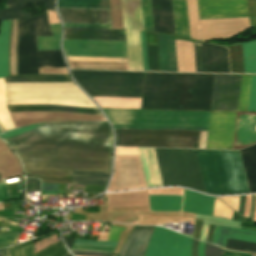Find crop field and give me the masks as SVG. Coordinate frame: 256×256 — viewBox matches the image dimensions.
Wrapping results in <instances>:
<instances>
[{
    "label": "crop field",
    "mask_w": 256,
    "mask_h": 256,
    "mask_svg": "<svg viewBox=\"0 0 256 256\" xmlns=\"http://www.w3.org/2000/svg\"><path fill=\"white\" fill-rule=\"evenodd\" d=\"M194 44H200L194 41ZM196 72L229 73L227 49L201 42L194 45Z\"/></svg>",
    "instance_id": "15"
},
{
    "label": "crop field",
    "mask_w": 256,
    "mask_h": 256,
    "mask_svg": "<svg viewBox=\"0 0 256 256\" xmlns=\"http://www.w3.org/2000/svg\"><path fill=\"white\" fill-rule=\"evenodd\" d=\"M251 76L242 75L238 111H247Z\"/></svg>",
    "instance_id": "44"
},
{
    "label": "crop field",
    "mask_w": 256,
    "mask_h": 256,
    "mask_svg": "<svg viewBox=\"0 0 256 256\" xmlns=\"http://www.w3.org/2000/svg\"><path fill=\"white\" fill-rule=\"evenodd\" d=\"M254 205H255V195H252V205H251V210H250V215H249L250 219H252V217H253Z\"/></svg>",
    "instance_id": "75"
},
{
    "label": "crop field",
    "mask_w": 256,
    "mask_h": 256,
    "mask_svg": "<svg viewBox=\"0 0 256 256\" xmlns=\"http://www.w3.org/2000/svg\"><path fill=\"white\" fill-rule=\"evenodd\" d=\"M236 112L211 111L206 148L232 149Z\"/></svg>",
    "instance_id": "13"
},
{
    "label": "crop field",
    "mask_w": 256,
    "mask_h": 256,
    "mask_svg": "<svg viewBox=\"0 0 256 256\" xmlns=\"http://www.w3.org/2000/svg\"><path fill=\"white\" fill-rule=\"evenodd\" d=\"M27 192L40 191V181L33 178H26Z\"/></svg>",
    "instance_id": "58"
},
{
    "label": "crop field",
    "mask_w": 256,
    "mask_h": 256,
    "mask_svg": "<svg viewBox=\"0 0 256 256\" xmlns=\"http://www.w3.org/2000/svg\"><path fill=\"white\" fill-rule=\"evenodd\" d=\"M71 249H73V250H87V251H105V252H114L116 248H110V247H97V246H81V245H72Z\"/></svg>",
    "instance_id": "54"
},
{
    "label": "crop field",
    "mask_w": 256,
    "mask_h": 256,
    "mask_svg": "<svg viewBox=\"0 0 256 256\" xmlns=\"http://www.w3.org/2000/svg\"><path fill=\"white\" fill-rule=\"evenodd\" d=\"M7 200V184H0V201Z\"/></svg>",
    "instance_id": "66"
},
{
    "label": "crop field",
    "mask_w": 256,
    "mask_h": 256,
    "mask_svg": "<svg viewBox=\"0 0 256 256\" xmlns=\"http://www.w3.org/2000/svg\"><path fill=\"white\" fill-rule=\"evenodd\" d=\"M200 16L247 14L246 0H198Z\"/></svg>",
    "instance_id": "19"
},
{
    "label": "crop field",
    "mask_w": 256,
    "mask_h": 256,
    "mask_svg": "<svg viewBox=\"0 0 256 256\" xmlns=\"http://www.w3.org/2000/svg\"><path fill=\"white\" fill-rule=\"evenodd\" d=\"M236 17H248L247 15H236V16H212V17H200V19H212V18H236Z\"/></svg>",
    "instance_id": "69"
},
{
    "label": "crop field",
    "mask_w": 256,
    "mask_h": 256,
    "mask_svg": "<svg viewBox=\"0 0 256 256\" xmlns=\"http://www.w3.org/2000/svg\"><path fill=\"white\" fill-rule=\"evenodd\" d=\"M144 30L154 32L150 0H140Z\"/></svg>",
    "instance_id": "45"
},
{
    "label": "crop field",
    "mask_w": 256,
    "mask_h": 256,
    "mask_svg": "<svg viewBox=\"0 0 256 256\" xmlns=\"http://www.w3.org/2000/svg\"><path fill=\"white\" fill-rule=\"evenodd\" d=\"M191 38L199 39L197 0H187Z\"/></svg>",
    "instance_id": "43"
},
{
    "label": "crop field",
    "mask_w": 256,
    "mask_h": 256,
    "mask_svg": "<svg viewBox=\"0 0 256 256\" xmlns=\"http://www.w3.org/2000/svg\"><path fill=\"white\" fill-rule=\"evenodd\" d=\"M147 187L162 186L153 148H138Z\"/></svg>",
    "instance_id": "25"
},
{
    "label": "crop field",
    "mask_w": 256,
    "mask_h": 256,
    "mask_svg": "<svg viewBox=\"0 0 256 256\" xmlns=\"http://www.w3.org/2000/svg\"><path fill=\"white\" fill-rule=\"evenodd\" d=\"M252 223H254V222H252Z\"/></svg>",
    "instance_id": "79"
},
{
    "label": "crop field",
    "mask_w": 256,
    "mask_h": 256,
    "mask_svg": "<svg viewBox=\"0 0 256 256\" xmlns=\"http://www.w3.org/2000/svg\"><path fill=\"white\" fill-rule=\"evenodd\" d=\"M197 240L192 241V256H197Z\"/></svg>",
    "instance_id": "72"
},
{
    "label": "crop field",
    "mask_w": 256,
    "mask_h": 256,
    "mask_svg": "<svg viewBox=\"0 0 256 256\" xmlns=\"http://www.w3.org/2000/svg\"><path fill=\"white\" fill-rule=\"evenodd\" d=\"M227 249L236 250V251H245V252H254L256 253V244L238 240L228 239L226 243Z\"/></svg>",
    "instance_id": "46"
},
{
    "label": "crop field",
    "mask_w": 256,
    "mask_h": 256,
    "mask_svg": "<svg viewBox=\"0 0 256 256\" xmlns=\"http://www.w3.org/2000/svg\"><path fill=\"white\" fill-rule=\"evenodd\" d=\"M24 256H34L32 243L23 246ZM12 256H23L22 244L11 248ZM68 253L62 242L36 254L35 256H64Z\"/></svg>",
    "instance_id": "34"
},
{
    "label": "crop field",
    "mask_w": 256,
    "mask_h": 256,
    "mask_svg": "<svg viewBox=\"0 0 256 256\" xmlns=\"http://www.w3.org/2000/svg\"><path fill=\"white\" fill-rule=\"evenodd\" d=\"M150 211H180L182 196H149Z\"/></svg>",
    "instance_id": "36"
},
{
    "label": "crop field",
    "mask_w": 256,
    "mask_h": 256,
    "mask_svg": "<svg viewBox=\"0 0 256 256\" xmlns=\"http://www.w3.org/2000/svg\"><path fill=\"white\" fill-rule=\"evenodd\" d=\"M67 60L127 62V58L66 57Z\"/></svg>",
    "instance_id": "52"
},
{
    "label": "crop field",
    "mask_w": 256,
    "mask_h": 256,
    "mask_svg": "<svg viewBox=\"0 0 256 256\" xmlns=\"http://www.w3.org/2000/svg\"><path fill=\"white\" fill-rule=\"evenodd\" d=\"M114 128L201 130L198 148H205L210 112L103 109Z\"/></svg>",
    "instance_id": "3"
},
{
    "label": "crop field",
    "mask_w": 256,
    "mask_h": 256,
    "mask_svg": "<svg viewBox=\"0 0 256 256\" xmlns=\"http://www.w3.org/2000/svg\"><path fill=\"white\" fill-rule=\"evenodd\" d=\"M227 238L256 242V232L231 227L215 226L212 243L224 248Z\"/></svg>",
    "instance_id": "28"
},
{
    "label": "crop field",
    "mask_w": 256,
    "mask_h": 256,
    "mask_svg": "<svg viewBox=\"0 0 256 256\" xmlns=\"http://www.w3.org/2000/svg\"><path fill=\"white\" fill-rule=\"evenodd\" d=\"M172 4L176 35L190 38L186 0H172Z\"/></svg>",
    "instance_id": "32"
},
{
    "label": "crop field",
    "mask_w": 256,
    "mask_h": 256,
    "mask_svg": "<svg viewBox=\"0 0 256 256\" xmlns=\"http://www.w3.org/2000/svg\"><path fill=\"white\" fill-rule=\"evenodd\" d=\"M6 141L21 158L26 175L42 182L72 183L68 170L111 169L112 130L107 122L42 123Z\"/></svg>",
    "instance_id": "1"
},
{
    "label": "crop field",
    "mask_w": 256,
    "mask_h": 256,
    "mask_svg": "<svg viewBox=\"0 0 256 256\" xmlns=\"http://www.w3.org/2000/svg\"><path fill=\"white\" fill-rule=\"evenodd\" d=\"M57 242H58V240H57L56 234H52V235L34 243L35 253L55 244Z\"/></svg>",
    "instance_id": "49"
},
{
    "label": "crop field",
    "mask_w": 256,
    "mask_h": 256,
    "mask_svg": "<svg viewBox=\"0 0 256 256\" xmlns=\"http://www.w3.org/2000/svg\"><path fill=\"white\" fill-rule=\"evenodd\" d=\"M256 143V113L237 112L233 149Z\"/></svg>",
    "instance_id": "18"
},
{
    "label": "crop field",
    "mask_w": 256,
    "mask_h": 256,
    "mask_svg": "<svg viewBox=\"0 0 256 256\" xmlns=\"http://www.w3.org/2000/svg\"><path fill=\"white\" fill-rule=\"evenodd\" d=\"M58 9L64 23L111 24L109 9Z\"/></svg>",
    "instance_id": "17"
},
{
    "label": "crop field",
    "mask_w": 256,
    "mask_h": 256,
    "mask_svg": "<svg viewBox=\"0 0 256 256\" xmlns=\"http://www.w3.org/2000/svg\"><path fill=\"white\" fill-rule=\"evenodd\" d=\"M66 56L127 57L125 42L64 40Z\"/></svg>",
    "instance_id": "12"
},
{
    "label": "crop field",
    "mask_w": 256,
    "mask_h": 256,
    "mask_svg": "<svg viewBox=\"0 0 256 256\" xmlns=\"http://www.w3.org/2000/svg\"><path fill=\"white\" fill-rule=\"evenodd\" d=\"M232 213H233V210L228 208L226 205H224L222 202H220L216 198L213 216L225 217V218L231 219Z\"/></svg>",
    "instance_id": "48"
},
{
    "label": "crop field",
    "mask_w": 256,
    "mask_h": 256,
    "mask_svg": "<svg viewBox=\"0 0 256 256\" xmlns=\"http://www.w3.org/2000/svg\"><path fill=\"white\" fill-rule=\"evenodd\" d=\"M101 108L140 109L141 98L92 97Z\"/></svg>",
    "instance_id": "33"
},
{
    "label": "crop field",
    "mask_w": 256,
    "mask_h": 256,
    "mask_svg": "<svg viewBox=\"0 0 256 256\" xmlns=\"http://www.w3.org/2000/svg\"><path fill=\"white\" fill-rule=\"evenodd\" d=\"M118 242L86 241L76 239L74 244L116 247Z\"/></svg>",
    "instance_id": "55"
},
{
    "label": "crop field",
    "mask_w": 256,
    "mask_h": 256,
    "mask_svg": "<svg viewBox=\"0 0 256 256\" xmlns=\"http://www.w3.org/2000/svg\"><path fill=\"white\" fill-rule=\"evenodd\" d=\"M154 150L163 186L180 185L205 192L195 150Z\"/></svg>",
    "instance_id": "8"
},
{
    "label": "crop field",
    "mask_w": 256,
    "mask_h": 256,
    "mask_svg": "<svg viewBox=\"0 0 256 256\" xmlns=\"http://www.w3.org/2000/svg\"><path fill=\"white\" fill-rule=\"evenodd\" d=\"M71 72L90 96L141 97L144 72Z\"/></svg>",
    "instance_id": "7"
},
{
    "label": "crop field",
    "mask_w": 256,
    "mask_h": 256,
    "mask_svg": "<svg viewBox=\"0 0 256 256\" xmlns=\"http://www.w3.org/2000/svg\"><path fill=\"white\" fill-rule=\"evenodd\" d=\"M110 172L69 171L73 184L106 185Z\"/></svg>",
    "instance_id": "35"
},
{
    "label": "crop field",
    "mask_w": 256,
    "mask_h": 256,
    "mask_svg": "<svg viewBox=\"0 0 256 256\" xmlns=\"http://www.w3.org/2000/svg\"><path fill=\"white\" fill-rule=\"evenodd\" d=\"M215 197L184 190L182 210L212 216Z\"/></svg>",
    "instance_id": "23"
},
{
    "label": "crop field",
    "mask_w": 256,
    "mask_h": 256,
    "mask_svg": "<svg viewBox=\"0 0 256 256\" xmlns=\"http://www.w3.org/2000/svg\"><path fill=\"white\" fill-rule=\"evenodd\" d=\"M65 27L111 28V25L64 24Z\"/></svg>",
    "instance_id": "63"
},
{
    "label": "crop field",
    "mask_w": 256,
    "mask_h": 256,
    "mask_svg": "<svg viewBox=\"0 0 256 256\" xmlns=\"http://www.w3.org/2000/svg\"><path fill=\"white\" fill-rule=\"evenodd\" d=\"M249 13H256V1H248Z\"/></svg>",
    "instance_id": "70"
},
{
    "label": "crop field",
    "mask_w": 256,
    "mask_h": 256,
    "mask_svg": "<svg viewBox=\"0 0 256 256\" xmlns=\"http://www.w3.org/2000/svg\"><path fill=\"white\" fill-rule=\"evenodd\" d=\"M116 146L197 148L200 131L115 129Z\"/></svg>",
    "instance_id": "9"
},
{
    "label": "crop field",
    "mask_w": 256,
    "mask_h": 256,
    "mask_svg": "<svg viewBox=\"0 0 256 256\" xmlns=\"http://www.w3.org/2000/svg\"><path fill=\"white\" fill-rule=\"evenodd\" d=\"M58 7L109 8L108 0H58Z\"/></svg>",
    "instance_id": "41"
},
{
    "label": "crop field",
    "mask_w": 256,
    "mask_h": 256,
    "mask_svg": "<svg viewBox=\"0 0 256 256\" xmlns=\"http://www.w3.org/2000/svg\"><path fill=\"white\" fill-rule=\"evenodd\" d=\"M214 75L162 73L158 109L210 111Z\"/></svg>",
    "instance_id": "4"
},
{
    "label": "crop field",
    "mask_w": 256,
    "mask_h": 256,
    "mask_svg": "<svg viewBox=\"0 0 256 256\" xmlns=\"http://www.w3.org/2000/svg\"><path fill=\"white\" fill-rule=\"evenodd\" d=\"M40 124L41 123L31 125V126H27V127H23V128L14 129V130H11V131H8V132H4V133L0 134V137L3 138L4 140H6V139L11 138L13 136H16V135H19L21 133H24V132L30 131L32 129H35Z\"/></svg>",
    "instance_id": "50"
},
{
    "label": "crop field",
    "mask_w": 256,
    "mask_h": 256,
    "mask_svg": "<svg viewBox=\"0 0 256 256\" xmlns=\"http://www.w3.org/2000/svg\"><path fill=\"white\" fill-rule=\"evenodd\" d=\"M10 20L2 21L0 31V77L8 76V38Z\"/></svg>",
    "instance_id": "37"
},
{
    "label": "crop field",
    "mask_w": 256,
    "mask_h": 256,
    "mask_svg": "<svg viewBox=\"0 0 256 256\" xmlns=\"http://www.w3.org/2000/svg\"><path fill=\"white\" fill-rule=\"evenodd\" d=\"M245 196H240L239 213L243 214Z\"/></svg>",
    "instance_id": "74"
},
{
    "label": "crop field",
    "mask_w": 256,
    "mask_h": 256,
    "mask_svg": "<svg viewBox=\"0 0 256 256\" xmlns=\"http://www.w3.org/2000/svg\"><path fill=\"white\" fill-rule=\"evenodd\" d=\"M52 35L47 15L19 19L18 75L39 74L38 68L65 67L60 50L37 51L36 36Z\"/></svg>",
    "instance_id": "6"
},
{
    "label": "crop field",
    "mask_w": 256,
    "mask_h": 256,
    "mask_svg": "<svg viewBox=\"0 0 256 256\" xmlns=\"http://www.w3.org/2000/svg\"><path fill=\"white\" fill-rule=\"evenodd\" d=\"M140 36H141L143 66H144V70H148L144 32H140Z\"/></svg>",
    "instance_id": "60"
},
{
    "label": "crop field",
    "mask_w": 256,
    "mask_h": 256,
    "mask_svg": "<svg viewBox=\"0 0 256 256\" xmlns=\"http://www.w3.org/2000/svg\"><path fill=\"white\" fill-rule=\"evenodd\" d=\"M221 253H224L223 249L206 243L205 256H221Z\"/></svg>",
    "instance_id": "56"
},
{
    "label": "crop field",
    "mask_w": 256,
    "mask_h": 256,
    "mask_svg": "<svg viewBox=\"0 0 256 256\" xmlns=\"http://www.w3.org/2000/svg\"><path fill=\"white\" fill-rule=\"evenodd\" d=\"M213 232H214V226L213 225H210L209 227V231H208V235H207V242H210L212 241V236H213Z\"/></svg>",
    "instance_id": "71"
},
{
    "label": "crop field",
    "mask_w": 256,
    "mask_h": 256,
    "mask_svg": "<svg viewBox=\"0 0 256 256\" xmlns=\"http://www.w3.org/2000/svg\"><path fill=\"white\" fill-rule=\"evenodd\" d=\"M48 21H49V24L60 23L55 11L48 12Z\"/></svg>",
    "instance_id": "67"
},
{
    "label": "crop field",
    "mask_w": 256,
    "mask_h": 256,
    "mask_svg": "<svg viewBox=\"0 0 256 256\" xmlns=\"http://www.w3.org/2000/svg\"><path fill=\"white\" fill-rule=\"evenodd\" d=\"M250 193L256 192V145L240 151Z\"/></svg>",
    "instance_id": "31"
},
{
    "label": "crop field",
    "mask_w": 256,
    "mask_h": 256,
    "mask_svg": "<svg viewBox=\"0 0 256 256\" xmlns=\"http://www.w3.org/2000/svg\"><path fill=\"white\" fill-rule=\"evenodd\" d=\"M64 239L66 240V244H67V246H68L69 249H70V247H71V245H72L74 239H72V238H64Z\"/></svg>",
    "instance_id": "76"
},
{
    "label": "crop field",
    "mask_w": 256,
    "mask_h": 256,
    "mask_svg": "<svg viewBox=\"0 0 256 256\" xmlns=\"http://www.w3.org/2000/svg\"><path fill=\"white\" fill-rule=\"evenodd\" d=\"M19 234L16 233H2L0 234V248L14 244Z\"/></svg>",
    "instance_id": "53"
},
{
    "label": "crop field",
    "mask_w": 256,
    "mask_h": 256,
    "mask_svg": "<svg viewBox=\"0 0 256 256\" xmlns=\"http://www.w3.org/2000/svg\"><path fill=\"white\" fill-rule=\"evenodd\" d=\"M155 32L175 35L171 0H151Z\"/></svg>",
    "instance_id": "22"
},
{
    "label": "crop field",
    "mask_w": 256,
    "mask_h": 256,
    "mask_svg": "<svg viewBox=\"0 0 256 256\" xmlns=\"http://www.w3.org/2000/svg\"><path fill=\"white\" fill-rule=\"evenodd\" d=\"M5 82H71L69 76L61 75H27L6 77Z\"/></svg>",
    "instance_id": "38"
},
{
    "label": "crop field",
    "mask_w": 256,
    "mask_h": 256,
    "mask_svg": "<svg viewBox=\"0 0 256 256\" xmlns=\"http://www.w3.org/2000/svg\"><path fill=\"white\" fill-rule=\"evenodd\" d=\"M192 239L156 227L149 242L145 256H191ZM204 244H198V256H204Z\"/></svg>",
    "instance_id": "10"
},
{
    "label": "crop field",
    "mask_w": 256,
    "mask_h": 256,
    "mask_svg": "<svg viewBox=\"0 0 256 256\" xmlns=\"http://www.w3.org/2000/svg\"><path fill=\"white\" fill-rule=\"evenodd\" d=\"M207 228H208V225H204V224H203L202 233H201V237H200L201 240H204V241H205V239H206V234H207Z\"/></svg>",
    "instance_id": "73"
},
{
    "label": "crop field",
    "mask_w": 256,
    "mask_h": 256,
    "mask_svg": "<svg viewBox=\"0 0 256 256\" xmlns=\"http://www.w3.org/2000/svg\"><path fill=\"white\" fill-rule=\"evenodd\" d=\"M59 104L97 108L73 83H4L0 78V124L14 129L6 105Z\"/></svg>",
    "instance_id": "2"
},
{
    "label": "crop field",
    "mask_w": 256,
    "mask_h": 256,
    "mask_svg": "<svg viewBox=\"0 0 256 256\" xmlns=\"http://www.w3.org/2000/svg\"><path fill=\"white\" fill-rule=\"evenodd\" d=\"M129 70H143L139 30H143L139 0H121Z\"/></svg>",
    "instance_id": "11"
},
{
    "label": "crop field",
    "mask_w": 256,
    "mask_h": 256,
    "mask_svg": "<svg viewBox=\"0 0 256 256\" xmlns=\"http://www.w3.org/2000/svg\"><path fill=\"white\" fill-rule=\"evenodd\" d=\"M241 75H215L211 110L237 111Z\"/></svg>",
    "instance_id": "14"
},
{
    "label": "crop field",
    "mask_w": 256,
    "mask_h": 256,
    "mask_svg": "<svg viewBox=\"0 0 256 256\" xmlns=\"http://www.w3.org/2000/svg\"><path fill=\"white\" fill-rule=\"evenodd\" d=\"M223 256H250L249 253H240V252H231L225 250V254Z\"/></svg>",
    "instance_id": "68"
},
{
    "label": "crop field",
    "mask_w": 256,
    "mask_h": 256,
    "mask_svg": "<svg viewBox=\"0 0 256 256\" xmlns=\"http://www.w3.org/2000/svg\"><path fill=\"white\" fill-rule=\"evenodd\" d=\"M161 73H145L141 109H157Z\"/></svg>",
    "instance_id": "26"
},
{
    "label": "crop field",
    "mask_w": 256,
    "mask_h": 256,
    "mask_svg": "<svg viewBox=\"0 0 256 256\" xmlns=\"http://www.w3.org/2000/svg\"><path fill=\"white\" fill-rule=\"evenodd\" d=\"M9 112H23V111H68L88 114L101 115L99 109L80 108L59 105H18L8 106Z\"/></svg>",
    "instance_id": "30"
},
{
    "label": "crop field",
    "mask_w": 256,
    "mask_h": 256,
    "mask_svg": "<svg viewBox=\"0 0 256 256\" xmlns=\"http://www.w3.org/2000/svg\"><path fill=\"white\" fill-rule=\"evenodd\" d=\"M202 221H203V219H196L194 236H193L194 238L199 239V235H200L201 227H202Z\"/></svg>",
    "instance_id": "65"
},
{
    "label": "crop field",
    "mask_w": 256,
    "mask_h": 256,
    "mask_svg": "<svg viewBox=\"0 0 256 256\" xmlns=\"http://www.w3.org/2000/svg\"><path fill=\"white\" fill-rule=\"evenodd\" d=\"M58 184H42V194H57Z\"/></svg>",
    "instance_id": "59"
},
{
    "label": "crop field",
    "mask_w": 256,
    "mask_h": 256,
    "mask_svg": "<svg viewBox=\"0 0 256 256\" xmlns=\"http://www.w3.org/2000/svg\"><path fill=\"white\" fill-rule=\"evenodd\" d=\"M0 256H10V251L9 248L0 252Z\"/></svg>",
    "instance_id": "77"
},
{
    "label": "crop field",
    "mask_w": 256,
    "mask_h": 256,
    "mask_svg": "<svg viewBox=\"0 0 256 256\" xmlns=\"http://www.w3.org/2000/svg\"><path fill=\"white\" fill-rule=\"evenodd\" d=\"M232 73H244L241 43L229 45Z\"/></svg>",
    "instance_id": "42"
},
{
    "label": "crop field",
    "mask_w": 256,
    "mask_h": 256,
    "mask_svg": "<svg viewBox=\"0 0 256 256\" xmlns=\"http://www.w3.org/2000/svg\"><path fill=\"white\" fill-rule=\"evenodd\" d=\"M66 256H71L69 253Z\"/></svg>",
    "instance_id": "78"
},
{
    "label": "crop field",
    "mask_w": 256,
    "mask_h": 256,
    "mask_svg": "<svg viewBox=\"0 0 256 256\" xmlns=\"http://www.w3.org/2000/svg\"><path fill=\"white\" fill-rule=\"evenodd\" d=\"M202 40L232 37L248 28V18L200 20Z\"/></svg>",
    "instance_id": "16"
},
{
    "label": "crop field",
    "mask_w": 256,
    "mask_h": 256,
    "mask_svg": "<svg viewBox=\"0 0 256 256\" xmlns=\"http://www.w3.org/2000/svg\"><path fill=\"white\" fill-rule=\"evenodd\" d=\"M54 36L37 37L38 50L60 49L59 39L61 35L60 24L50 25Z\"/></svg>",
    "instance_id": "39"
},
{
    "label": "crop field",
    "mask_w": 256,
    "mask_h": 256,
    "mask_svg": "<svg viewBox=\"0 0 256 256\" xmlns=\"http://www.w3.org/2000/svg\"><path fill=\"white\" fill-rule=\"evenodd\" d=\"M74 255H84V256H112L113 253L104 252H82V251H72Z\"/></svg>",
    "instance_id": "62"
},
{
    "label": "crop field",
    "mask_w": 256,
    "mask_h": 256,
    "mask_svg": "<svg viewBox=\"0 0 256 256\" xmlns=\"http://www.w3.org/2000/svg\"><path fill=\"white\" fill-rule=\"evenodd\" d=\"M28 3H45L46 12L54 9V0H6V10L0 11V20L15 19L30 16L20 11Z\"/></svg>",
    "instance_id": "27"
},
{
    "label": "crop field",
    "mask_w": 256,
    "mask_h": 256,
    "mask_svg": "<svg viewBox=\"0 0 256 256\" xmlns=\"http://www.w3.org/2000/svg\"><path fill=\"white\" fill-rule=\"evenodd\" d=\"M248 111H256V76H252Z\"/></svg>",
    "instance_id": "51"
},
{
    "label": "crop field",
    "mask_w": 256,
    "mask_h": 256,
    "mask_svg": "<svg viewBox=\"0 0 256 256\" xmlns=\"http://www.w3.org/2000/svg\"><path fill=\"white\" fill-rule=\"evenodd\" d=\"M64 39L125 41L124 30L65 28Z\"/></svg>",
    "instance_id": "21"
},
{
    "label": "crop field",
    "mask_w": 256,
    "mask_h": 256,
    "mask_svg": "<svg viewBox=\"0 0 256 256\" xmlns=\"http://www.w3.org/2000/svg\"><path fill=\"white\" fill-rule=\"evenodd\" d=\"M245 73H256V41L242 43Z\"/></svg>",
    "instance_id": "40"
},
{
    "label": "crop field",
    "mask_w": 256,
    "mask_h": 256,
    "mask_svg": "<svg viewBox=\"0 0 256 256\" xmlns=\"http://www.w3.org/2000/svg\"><path fill=\"white\" fill-rule=\"evenodd\" d=\"M154 226H135L118 256H144Z\"/></svg>",
    "instance_id": "20"
},
{
    "label": "crop field",
    "mask_w": 256,
    "mask_h": 256,
    "mask_svg": "<svg viewBox=\"0 0 256 256\" xmlns=\"http://www.w3.org/2000/svg\"><path fill=\"white\" fill-rule=\"evenodd\" d=\"M157 37L161 71H177L174 36L157 33Z\"/></svg>",
    "instance_id": "24"
},
{
    "label": "crop field",
    "mask_w": 256,
    "mask_h": 256,
    "mask_svg": "<svg viewBox=\"0 0 256 256\" xmlns=\"http://www.w3.org/2000/svg\"><path fill=\"white\" fill-rule=\"evenodd\" d=\"M220 200H222L224 203L229 205L231 208H233L235 211L238 212V204H239V196L236 197H218Z\"/></svg>",
    "instance_id": "57"
},
{
    "label": "crop field",
    "mask_w": 256,
    "mask_h": 256,
    "mask_svg": "<svg viewBox=\"0 0 256 256\" xmlns=\"http://www.w3.org/2000/svg\"><path fill=\"white\" fill-rule=\"evenodd\" d=\"M149 70L160 71L157 45L147 46Z\"/></svg>",
    "instance_id": "47"
},
{
    "label": "crop field",
    "mask_w": 256,
    "mask_h": 256,
    "mask_svg": "<svg viewBox=\"0 0 256 256\" xmlns=\"http://www.w3.org/2000/svg\"><path fill=\"white\" fill-rule=\"evenodd\" d=\"M116 154L139 155L137 148L116 147Z\"/></svg>",
    "instance_id": "61"
},
{
    "label": "crop field",
    "mask_w": 256,
    "mask_h": 256,
    "mask_svg": "<svg viewBox=\"0 0 256 256\" xmlns=\"http://www.w3.org/2000/svg\"><path fill=\"white\" fill-rule=\"evenodd\" d=\"M178 71L195 72L192 40L175 36Z\"/></svg>",
    "instance_id": "29"
},
{
    "label": "crop field",
    "mask_w": 256,
    "mask_h": 256,
    "mask_svg": "<svg viewBox=\"0 0 256 256\" xmlns=\"http://www.w3.org/2000/svg\"><path fill=\"white\" fill-rule=\"evenodd\" d=\"M105 186H89L85 185V192L102 193Z\"/></svg>",
    "instance_id": "64"
},
{
    "label": "crop field",
    "mask_w": 256,
    "mask_h": 256,
    "mask_svg": "<svg viewBox=\"0 0 256 256\" xmlns=\"http://www.w3.org/2000/svg\"><path fill=\"white\" fill-rule=\"evenodd\" d=\"M196 152L207 193H249L239 151Z\"/></svg>",
    "instance_id": "5"
}]
</instances>
